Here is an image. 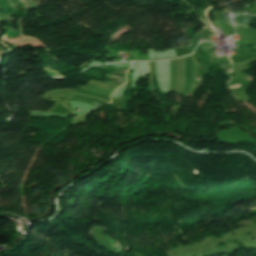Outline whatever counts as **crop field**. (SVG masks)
<instances>
[{
	"instance_id": "1",
	"label": "crop field",
	"mask_w": 256,
	"mask_h": 256,
	"mask_svg": "<svg viewBox=\"0 0 256 256\" xmlns=\"http://www.w3.org/2000/svg\"><path fill=\"white\" fill-rule=\"evenodd\" d=\"M138 65H136V69H137Z\"/></svg>"
}]
</instances>
